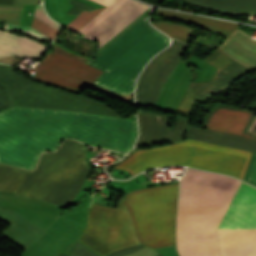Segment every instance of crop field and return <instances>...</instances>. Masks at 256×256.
Listing matches in <instances>:
<instances>
[{
    "instance_id": "10",
    "label": "crop field",
    "mask_w": 256,
    "mask_h": 256,
    "mask_svg": "<svg viewBox=\"0 0 256 256\" xmlns=\"http://www.w3.org/2000/svg\"><path fill=\"white\" fill-rule=\"evenodd\" d=\"M53 52L82 63L86 61L66 53L55 45ZM55 53H48L43 61L34 67L36 78L80 92L102 73L100 70Z\"/></svg>"
},
{
    "instance_id": "14",
    "label": "crop field",
    "mask_w": 256,
    "mask_h": 256,
    "mask_svg": "<svg viewBox=\"0 0 256 256\" xmlns=\"http://www.w3.org/2000/svg\"><path fill=\"white\" fill-rule=\"evenodd\" d=\"M170 118L147 112H138L139 139L137 144L181 141L189 118L178 117L173 131H168Z\"/></svg>"
},
{
    "instance_id": "5",
    "label": "crop field",
    "mask_w": 256,
    "mask_h": 256,
    "mask_svg": "<svg viewBox=\"0 0 256 256\" xmlns=\"http://www.w3.org/2000/svg\"><path fill=\"white\" fill-rule=\"evenodd\" d=\"M86 148L66 140L55 153H42L35 171L17 195L66 207L81 189L90 167Z\"/></svg>"
},
{
    "instance_id": "20",
    "label": "crop field",
    "mask_w": 256,
    "mask_h": 256,
    "mask_svg": "<svg viewBox=\"0 0 256 256\" xmlns=\"http://www.w3.org/2000/svg\"><path fill=\"white\" fill-rule=\"evenodd\" d=\"M152 25L161 30L169 37L176 38L186 44L194 31L191 28L167 21L152 23Z\"/></svg>"
},
{
    "instance_id": "23",
    "label": "crop field",
    "mask_w": 256,
    "mask_h": 256,
    "mask_svg": "<svg viewBox=\"0 0 256 256\" xmlns=\"http://www.w3.org/2000/svg\"><path fill=\"white\" fill-rule=\"evenodd\" d=\"M103 8H99L90 12H87L84 10L69 25H67L66 28L76 32L84 24H86L90 19H92L97 13H99Z\"/></svg>"
},
{
    "instance_id": "9",
    "label": "crop field",
    "mask_w": 256,
    "mask_h": 256,
    "mask_svg": "<svg viewBox=\"0 0 256 256\" xmlns=\"http://www.w3.org/2000/svg\"><path fill=\"white\" fill-rule=\"evenodd\" d=\"M79 240L103 255L138 244L126 210L93 203L87 227Z\"/></svg>"
},
{
    "instance_id": "31",
    "label": "crop field",
    "mask_w": 256,
    "mask_h": 256,
    "mask_svg": "<svg viewBox=\"0 0 256 256\" xmlns=\"http://www.w3.org/2000/svg\"><path fill=\"white\" fill-rule=\"evenodd\" d=\"M0 4H13V0H0Z\"/></svg>"
},
{
    "instance_id": "19",
    "label": "crop field",
    "mask_w": 256,
    "mask_h": 256,
    "mask_svg": "<svg viewBox=\"0 0 256 256\" xmlns=\"http://www.w3.org/2000/svg\"><path fill=\"white\" fill-rule=\"evenodd\" d=\"M238 108L212 107L201 127L227 131Z\"/></svg>"
},
{
    "instance_id": "1",
    "label": "crop field",
    "mask_w": 256,
    "mask_h": 256,
    "mask_svg": "<svg viewBox=\"0 0 256 256\" xmlns=\"http://www.w3.org/2000/svg\"><path fill=\"white\" fill-rule=\"evenodd\" d=\"M76 113L23 107L1 111L0 163L33 170L42 151L57 149ZM66 138L127 153L137 138V124L136 120L78 112Z\"/></svg>"
},
{
    "instance_id": "4",
    "label": "crop field",
    "mask_w": 256,
    "mask_h": 256,
    "mask_svg": "<svg viewBox=\"0 0 256 256\" xmlns=\"http://www.w3.org/2000/svg\"><path fill=\"white\" fill-rule=\"evenodd\" d=\"M251 154L187 139L169 146L135 151L115 168L127 170L133 176L153 167L188 165L243 179Z\"/></svg>"
},
{
    "instance_id": "17",
    "label": "crop field",
    "mask_w": 256,
    "mask_h": 256,
    "mask_svg": "<svg viewBox=\"0 0 256 256\" xmlns=\"http://www.w3.org/2000/svg\"><path fill=\"white\" fill-rule=\"evenodd\" d=\"M189 4L229 14H256V0H183Z\"/></svg>"
},
{
    "instance_id": "29",
    "label": "crop field",
    "mask_w": 256,
    "mask_h": 256,
    "mask_svg": "<svg viewBox=\"0 0 256 256\" xmlns=\"http://www.w3.org/2000/svg\"><path fill=\"white\" fill-rule=\"evenodd\" d=\"M9 106L6 89L0 85V111Z\"/></svg>"
},
{
    "instance_id": "32",
    "label": "crop field",
    "mask_w": 256,
    "mask_h": 256,
    "mask_svg": "<svg viewBox=\"0 0 256 256\" xmlns=\"http://www.w3.org/2000/svg\"><path fill=\"white\" fill-rule=\"evenodd\" d=\"M117 207L126 209L125 206H124V204H123V202H122V200H120V199H119V201H118V206H117Z\"/></svg>"
},
{
    "instance_id": "3",
    "label": "crop field",
    "mask_w": 256,
    "mask_h": 256,
    "mask_svg": "<svg viewBox=\"0 0 256 256\" xmlns=\"http://www.w3.org/2000/svg\"><path fill=\"white\" fill-rule=\"evenodd\" d=\"M147 15L97 54L95 60L86 62L104 71L94 84L123 95L134 94L139 72L168 46V38L149 25Z\"/></svg>"
},
{
    "instance_id": "11",
    "label": "crop field",
    "mask_w": 256,
    "mask_h": 256,
    "mask_svg": "<svg viewBox=\"0 0 256 256\" xmlns=\"http://www.w3.org/2000/svg\"><path fill=\"white\" fill-rule=\"evenodd\" d=\"M155 14L199 25L209 31L223 35L227 38L239 26L238 24H232L163 10H158ZM217 49L251 69L256 68V41L252 40L250 35L246 34L238 28Z\"/></svg>"
},
{
    "instance_id": "26",
    "label": "crop field",
    "mask_w": 256,
    "mask_h": 256,
    "mask_svg": "<svg viewBox=\"0 0 256 256\" xmlns=\"http://www.w3.org/2000/svg\"><path fill=\"white\" fill-rule=\"evenodd\" d=\"M98 254V253H97ZM90 249H88L83 244L77 242V244L74 246L70 256H99ZM61 256V255H59Z\"/></svg>"
},
{
    "instance_id": "24",
    "label": "crop field",
    "mask_w": 256,
    "mask_h": 256,
    "mask_svg": "<svg viewBox=\"0 0 256 256\" xmlns=\"http://www.w3.org/2000/svg\"><path fill=\"white\" fill-rule=\"evenodd\" d=\"M31 27L38 30L45 36L49 37L50 39H54V37L57 35L58 31L57 29L47 25L46 23L34 18Z\"/></svg>"
},
{
    "instance_id": "18",
    "label": "crop field",
    "mask_w": 256,
    "mask_h": 256,
    "mask_svg": "<svg viewBox=\"0 0 256 256\" xmlns=\"http://www.w3.org/2000/svg\"><path fill=\"white\" fill-rule=\"evenodd\" d=\"M31 173L0 164V192L16 194Z\"/></svg>"
},
{
    "instance_id": "27",
    "label": "crop field",
    "mask_w": 256,
    "mask_h": 256,
    "mask_svg": "<svg viewBox=\"0 0 256 256\" xmlns=\"http://www.w3.org/2000/svg\"><path fill=\"white\" fill-rule=\"evenodd\" d=\"M34 17H36V18L46 22L47 24H49V25H51V26H53V27H55L57 29H60V26L57 23L53 22L52 20H50L46 16L45 11H44L42 5L36 6Z\"/></svg>"
},
{
    "instance_id": "7",
    "label": "crop field",
    "mask_w": 256,
    "mask_h": 256,
    "mask_svg": "<svg viewBox=\"0 0 256 256\" xmlns=\"http://www.w3.org/2000/svg\"><path fill=\"white\" fill-rule=\"evenodd\" d=\"M0 84L8 90L11 105L80 111L120 117L109 107L82 96L35 83L0 64Z\"/></svg>"
},
{
    "instance_id": "22",
    "label": "crop field",
    "mask_w": 256,
    "mask_h": 256,
    "mask_svg": "<svg viewBox=\"0 0 256 256\" xmlns=\"http://www.w3.org/2000/svg\"><path fill=\"white\" fill-rule=\"evenodd\" d=\"M102 5L107 6L104 10H102L98 15H96L91 21H89L83 28L79 30L86 34L92 28H94L98 23H100L103 19H105L114 9H116L119 5H121L125 0H90Z\"/></svg>"
},
{
    "instance_id": "2",
    "label": "crop field",
    "mask_w": 256,
    "mask_h": 256,
    "mask_svg": "<svg viewBox=\"0 0 256 256\" xmlns=\"http://www.w3.org/2000/svg\"><path fill=\"white\" fill-rule=\"evenodd\" d=\"M239 184L230 176L186 168L176 223L180 256H220L216 229Z\"/></svg>"
},
{
    "instance_id": "21",
    "label": "crop field",
    "mask_w": 256,
    "mask_h": 256,
    "mask_svg": "<svg viewBox=\"0 0 256 256\" xmlns=\"http://www.w3.org/2000/svg\"><path fill=\"white\" fill-rule=\"evenodd\" d=\"M36 2L38 0H14V5H0V20L19 24L23 4Z\"/></svg>"
},
{
    "instance_id": "15",
    "label": "crop field",
    "mask_w": 256,
    "mask_h": 256,
    "mask_svg": "<svg viewBox=\"0 0 256 256\" xmlns=\"http://www.w3.org/2000/svg\"><path fill=\"white\" fill-rule=\"evenodd\" d=\"M147 8L136 1L127 0L84 37L98 41L100 48Z\"/></svg>"
},
{
    "instance_id": "6",
    "label": "crop field",
    "mask_w": 256,
    "mask_h": 256,
    "mask_svg": "<svg viewBox=\"0 0 256 256\" xmlns=\"http://www.w3.org/2000/svg\"><path fill=\"white\" fill-rule=\"evenodd\" d=\"M177 185L150 187L123 197L141 245L159 248L174 244Z\"/></svg>"
},
{
    "instance_id": "30",
    "label": "crop field",
    "mask_w": 256,
    "mask_h": 256,
    "mask_svg": "<svg viewBox=\"0 0 256 256\" xmlns=\"http://www.w3.org/2000/svg\"><path fill=\"white\" fill-rule=\"evenodd\" d=\"M144 246H140V245H137V246H133V247H130V248H127V249H124V250H121V251H118V252H115L109 256H122V255H126V254H129L133 251H136L140 248H142Z\"/></svg>"
},
{
    "instance_id": "8",
    "label": "crop field",
    "mask_w": 256,
    "mask_h": 256,
    "mask_svg": "<svg viewBox=\"0 0 256 256\" xmlns=\"http://www.w3.org/2000/svg\"><path fill=\"white\" fill-rule=\"evenodd\" d=\"M256 224V189L241 182L218 229ZM221 256H256V225L217 230Z\"/></svg>"
},
{
    "instance_id": "12",
    "label": "crop field",
    "mask_w": 256,
    "mask_h": 256,
    "mask_svg": "<svg viewBox=\"0 0 256 256\" xmlns=\"http://www.w3.org/2000/svg\"><path fill=\"white\" fill-rule=\"evenodd\" d=\"M185 46L176 40H172L169 48L151 60L141 73L137 83L135 92L136 103L155 104L162 86L178 62L177 58Z\"/></svg>"
},
{
    "instance_id": "16",
    "label": "crop field",
    "mask_w": 256,
    "mask_h": 256,
    "mask_svg": "<svg viewBox=\"0 0 256 256\" xmlns=\"http://www.w3.org/2000/svg\"><path fill=\"white\" fill-rule=\"evenodd\" d=\"M47 47L34 40L10 32L0 31V57L15 55L39 59Z\"/></svg>"
},
{
    "instance_id": "13",
    "label": "crop field",
    "mask_w": 256,
    "mask_h": 256,
    "mask_svg": "<svg viewBox=\"0 0 256 256\" xmlns=\"http://www.w3.org/2000/svg\"><path fill=\"white\" fill-rule=\"evenodd\" d=\"M252 120V113L239 109L228 132L188 126L187 138L253 152L256 136L246 132Z\"/></svg>"
},
{
    "instance_id": "33",
    "label": "crop field",
    "mask_w": 256,
    "mask_h": 256,
    "mask_svg": "<svg viewBox=\"0 0 256 256\" xmlns=\"http://www.w3.org/2000/svg\"><path fill=\"white\" fill-rule=\"evenodd\" d=\"M159 256H162V255H159Z\"/></svg>"
},
{
    "instance_id": "25",
    "label": "crop field",
    "mask_w": 256,
    "mask_h": 256,
    "mask_svg": "<svg viewBox=\"0 0 256 256\" xmlns=\"http://www.w3.org/2000/svg\"><path fill=\"white\" fill-rule=\"evenodd\" d=\"M244 181L256 186V152L253 153Z\"/></svg>"
},
{
    "instance_id": "28",
    "label": "crop field",
    "mask_w": 256,
    "mask_h": 256,
    "mask_svg": "<svg viewBox=\"0 0 256 256\" xmlns=\"http://www.w3.org/2000/svg\"><path fill=\"white\" fill-rule=\"evenodd\" d=\"M69 3L73 4L74 6L70 9V11L67 14L78 15L84 9H86L88 11L96 9L94 7H91L89 5H86V4L76 1V0H71Z\"/></svg>"
}]
</instances>
